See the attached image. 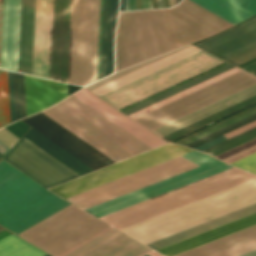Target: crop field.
Returning <instances> with one entry per match:
<instances>
[{
    "label": "crop field",
    "mask_w": 256,
    "mask_h": 256,
    "mask_svg": "<svg viewBox=\"0 0 256 256\" xmlns=\"http://www.w3.org/2000/svg\"><path fill=\"white\" fill-rule=\"evenodd\" d=\"M241 256H256V250L252 251V252H249L247 254L241 255Z\"/></svg>",
    "instance_id": "25e5ab78"
},
{
    "label": "crop field",
    "mask_w": 256,
    "mask_h": 256,
    "mask_svg": "<svg viewBox=\"0 0 256 256\" xmlns=\"http://www.w3.org/2000/svg\"><path fill=\"white\" fill-rule=\"evenodd\" d=\"M102 5H103V0H101V4H100V26H99V48H98V70H97V80L99 79V69H100V47H101Z\"/></svg>",
    "instance_id": "c21b1889"
},
{
    "label": "crop field",
    "mask_w": 256,
    "mask_h": 256,
    "mask_svg": "<svg viewBox=\"0 0 256 256\" xmlns=\"http://www.w3.org/2000/svg\"><path fill=\"white\" fill-rule=\"evenodd\" d=\"M256 203V179L121 229L147 244Z\"/></svg>",
    "instance_id": "412701ff"
},
{
    "label": "crop field",
    "mask_w": 256,
    "mask_h": 256,
    "mask_svg": "<svg viewBox=\"0 0 256 256\" xmlns=\"http://www.w3.org/2000/svg\"><path fill=\"white\" fill-rule=\"evenodd\" d=\"M20 0H4L1 68L17 72Z\"/></svg>",
    "instance_id": "214f88e0"
},
{
    "label": "crop field",
    "mask_w": 256,
    "mask_h": 256,
    "mask_svg": "<svg viewBox=\"0 0 256 256\" xmlns=\"http://www.w3.org/2000/svg\"><path fill=\"white\" fill-rule=\"evenodd\" d=\"M170 7L175 5V0H169Z\"/></svg>",
    "instance_id": "73cf0c24"
},
{
    "label": "crop field",
    "mask_w": 256,
    "mask_h": 256,
    "mask_svg": "<svg viewBox=\"0 0 256 256\" xmlns=\"http://www.w3.org/2000/svg\"><path fill=\"white\" fill-rule=\"evenodd\" d=\"M256 237V226L218 239L175 256H208Z\"/></svg>",
    "instance_id": "4177f3b9"
},
{
    "label": "crop field",
    "mask_w": 256,
    "mask_h": 256,
    "mask_svg": "<svg viewBox=\"0 0 256 256\" xmlns=\"http://www.w3.org/2000/svg\"><path fill=\"white\" fill-rule=\"evenodd\" d=\"M179 3V0H176V4Z\"/></svg>",
    "instance_id": "9d1cf04e"
},
{
    "label": "crop field",
    "mask_w": 256,
    "mask_h": 256,
    "mask_svg": "<svg viewBox=\"0 0 256 256\" xmlns=\"http://www.w3.org/2000/svg\"><path fill=\"white\" fill-rule=\"evenodd\" d=\"M9 149H10V148H8L6 145H4L2 142H0V152H1L2 154L5 155Z\"/></svg>",
    "instance_id": "b54c1fbb"
},
{
    "label": "crop field",
    "mask_w": 256,
    "mask_h": 256,
    "mask_svg": "<svg viewBox=\"0 0 256 256\" xmlns=\"http://www.w3.org/2000/svg\"><path fill=\"white\" fill-rule=\"evenodd\" d=\"M73 95L149 147L166 143L87 90L83 89ZM73 95L43 112L106 153L115 162L149 149L141 141ZM43 112L25 118L23 121L93 170L114 163L106 154L65 129ZM32 128L23 137L80 175L92 171Z\"/></svg>",
    "instance_id": "8a807250"
},
{
    "label": "crop field",
    "mask_w": 256,
    "mask_h": 256,
    "mask_svg": "<svg viewBox=\"0 0 256 256\" xmlns=\"http://www.w3.org/2000/svg\"><path fill=\"white\" fill-rule=\"evenodd\" d=\"M10 123L7 72L0 71V128Z\"/></svg>",
    "instance_id": "bd1437ed"
},
{
    "label": "crop field",
    "mask_w": 256,
    "mask_h": 256,
    "mask_svg": "<svg viewBox=\"0 0 256 256\" xmlns=\"http://www.w3.org/2000/svg\"><path fill=\"white\" fill-rule=\"evenodd\" d=\"M3 230L2 228H0V231Z\"/></svg>",
    "instance_id": "0765c3eb"
},
{
    "label": "crop field",
    "mask_w": 256,
    "mask_h": 256,
    "mask_svg": "<svg viewBox=\"0 0 256 256\" xmlns=\"http://www.w3.org/2000/svg\"><path fill=\"white\" fill-rule=\"evenodd\" d=\"M255 83L256 77L241 71L134 120L151 131Z\"/></svg>",
    "instance_id": "3316defc"
},
{
    "label": "crop field",
    "mask_w": 256,
    "mask_h": 256,
    "mask_svg": "<svg viewBox=\"0 0 256 256\" xmlns=\"http://www.w3.org/2000/svg\"><path fill=\"white\" fill-rule=\"evenodd\" d=\"M184 48H186V47H184ZM184 48H181V49H184ZM181 49H179V50H181ZM179 50L167 53L165 55L159 56L157 58L151 59V60L146 61L144 63H141V64H138V65L133 66L131 68H128L126 70H123V71H120L118 73H115V74H113V75H111V76H109V77H107V78H105L103 80L97 81V82H95V83H93V84H91V85H89V86H87L85 88L91 90V89H93V88H95L97 86H100V85H102V84H104L106 82H109V81H111L113 79H116V78H118V77H120L122 75H125V74H127V73H129L131 71H134V70H136V69H138L140 67H143V66H145L147 64H150V63H152V62H154L156 60H159V59H161V58H163L165 56H168V55H170V54H172L174 52H177ZM199 51H201V50H199V49H197V48H195L193 46H190V47H188V48H186L184 50H181V51H179V52H177L175 54H172V55H170L168 57H165V58H163V59H161L159 61H156V62H154V63H152L150 65H147V66H145V67H143L141 69H138V70H136L134 72H131V73H129V74L125 75V76H122V77H120V78H118L116 80H113V81H111V82H109L107 84H104V85H102L100 87H97V88H95V89H93L91 91H93L98 96H100V95H102V94H104L106 92H109V91H111V90H113L115 88H118V87H120V86H122L124 84H127V83H129L131 81H134V80H136V79H138L140 77H143V76H145V75H147L149 73H152V72H154V71H156L158 69H161V68H163V67H165L167 65H170V64H172V63H174L176 61H179V60H181L183 58H186V57H188V56H190L192 54H195V53H197Z\"/></svg>",
    "instance_id": "4a817a6b"
},
{
    "label": "crop field",
    "mask_w": 256,
    "mask_h": 256,
    "mask_svg": "<svg viewBox=\"0 0 256 256\" xmlns=\"http://www.w3.org/2000/svg\"><path fill=\"white\" fill-rule=\"evenodd\" d=\"M40 249L11 234L0 240V256H42Z\"/></svg>",
    "instance_id": "eef30255"
},
{
    "label": "crop field",
    "mask_w": 256,
    "mask_h": 256,
    "mask_svg": "<svg viewBox=\"0 0 256 256\" xmlns=\"http://www.w3.org/2000/svg\"><path fill=\"white\" fill-rule=\"evenodd\" d=\"M253 120H256V114H254L252 116H249V117H247V118H245V119H243L241 121H238V122H236V123H234V124H232L230 126H227V127L223 128V129H221L219 131H216V132H214V133H212V134H210L208 136H205V137H203V138H201V139H199L197 141H194V142H192V143H190V144H188L186 146L194 148V147H196V146H198V145H200L202 143H205V142H207V141H209V140H211V139H213L215 137H218V136H220V135H222V134H224L226 132H229V131H231V130H233L235 128H238V127H240V126H242L244 124H247V123H249V122H251Z\"/></svg>",
    "instance_id": "5866460e"
},
{
    "label": "crop field",
    "mask_w": 256,
    "mask_h": 256,
    "mask_svg": "<svg viewBox=\"0 0 256 256\" xmlns=\"http://www.w3.org/2000/svg\"><path fill=\"white\" fill-rule=\"evenodd\" d=\"M255 141H256V140L251 141V142H249V143H247V144H245V145H242V146H240V147H238V148H236V149H233V150H231V151H229V152H227V153H225V154H228V153H230V152H232V151H235V150H237V149H239V148H241V147H244V146H246V145H248V144H250V143H253V142H255ZM253 152H256V142L253 143V144H250V145H248V146H246V147H244V148H241V149H239V150H237V151H235V152H232V153H230V154H228V155L222 154V155H220V156H218V157H216V158H219V157L225 155V156H223V157H221V158H219V159H220V160H223V161H226V162H228V163H231V162H233V161H235V160H238V159H240V158H242V157H245V156H247V155H249V154H251V153H253Z\"/></svg>",
    "instance_id": "028f5c9d"
},
{
    "label": "crop field",
    "mask_w": 256,
    "mask_h": 256,
    "mask_svg": "<svg viewBox=\"0 0 256 256\" xmlns=\"http://www.w3.org/2000/svg\"><path fill=\"white\" fill-rule=\"evenodd\" d=\"M52 0H36L32 75L49 78Z\"/></svg>",
    "instance_id": "733c2abd"
},
{
    "label": "crop field",
    "mask_w": 256,
    "mask_h": 256,
    "mask_svg": "<svg viewBox=\"0 0 256 256\" xmlns=\"http://www.w3.org/2000/svg\"><path fill=\"white\" fill-rule=\"evenodd\" d=\"M171 50L160 9L119 13L116 72Z\"/></svg>",
    "instance_id": "e52e79f7"
},
{
    "label": "crop field",
    "mask_w": 256,
    "mask_h": 256,
    "mask_svg": "<svg viewBox=\"0 0 256 256\" xmlns=\"http://www.w3.org/2000/svg\"><path fill=\"white\" fill-rule=\"evenodd\" d=\"M16 120L26 116L23 75L13 72Z\"/></svg>",
    "instance_id": "120bbe31"
},
{
    "label": "crop field",
    "mask_w": 256,
    "mask_h": 256,
    "mask_svg": "<svg viewBox=\"0 0 256 256\" xmlns=\"http://www.w3.org/2000/svg\"><path fill=\"white\" fill-rule=\"evenodd\" d=\"M253 178L256 175L232 167L100 218L121 229Z\"/></svg>",
    "instance_id": "dd49c442"
},
{
    "label": "crop field",
    "mask_w": 256,
    "mask_h": 256,
    "mask_svg": "<svg viewBox=\"0 0 256 256\" xmlns=\"http://www.w3.org/2000/svg\"><path fill=\"white\" fill-rule=\"evenodd\" d=\"M4 159L46 187L79 176L23 137Z\"/></svg>",
    "instance_id": "cbeb9de0"
},
{
    "label": "crop field",
    "mask_w": 256,
    "mask_h": 256,
    "mask_svg": "<svg viewBox=\"0 0 256 256\" xmlns=\"http://www.w3.org/2000/svg\"><path fill=\"white\" fill-rule=\"evenodd\" d=\"M232 67H234V66H232V65H230L228 63L224 64V65H222V66H220L218 68H215V69H213V70H211V71H209V72H207L205 74H202V75H200V76H198V77H196L194 79H191V80H189V81H187V82H185V83H183L181 85H178V86H176V87H174V88H172L170 90H167V91H165V92H163V93H161V94H159L157 96H154V97H152V98H150V99H148L146 101H143V102H141V103H139V104H137V105H135L133 107H130V108H128V109H126V110H124L122 112L124 114L128 115V114H130V113H132L134 111H137V110H139V109H141V108H143L145 106H148V105H150V104H152L154 102H157V101H159V100H161V99H163L165 97H168V96H170V95H172L174 93H177V92H179V91H181V90H183L185 88H188V87H190V86H192L194 84H197V83H199V82H201V81H203L205 79H208V78H210V77H212L214 75H217V74H219V73H221V72H223L225 70H228V69H230Z\"/></svg>",
    "instance_id": "730fd06b"
},
{
    "label": "crop field",
    "mask_w": 256,
    "mask_h": 256,
    "mask_svg": "<svg viewBox=\"0 0 256 256\" xmlns=\"http://www.w3.org/2000/svg\"><path fill=\"white\" fill-rule=\"evenodd\" d=\"M241 169L256 173V153L231 163ZM230 164V165H231Z\"/></svg>",
    "instance_id": "b80d0937"
},
{
    "label": "crop field",
    "mask_w": 256,
    "mask_h": 256,
    "mask_svg": "<svg viewBox=\"0 0 256 256\" xmlns=\"http://www.w3.org/2000/svg\"><path fill=\"white\" fill-rule=\"evenodd\" d=\"M227 102H230L229 104ZM256 102V84L152 132L170 141Z\"/></svg>",
    "instance_id": "22f410ed"
},
{
    "label": "crop field",
    "mask_w": 256,
    "mask_h": 256,
    "mask_svg": "<svg viewBox=\"0 0 256 256\" xmlns=\"http://www.w3.org/2000/svg\"><path fill=\"white\" fill-rule=\"evenodd\" d=\"M254 139H256V128L249 130L241 135H238L232 139H229L223 143H220L212 148H209L204 152H208L214 157H216L222 153H225L233 148H236Z\"/></svg>",
    "instance_id": "d3111659"
},
{
    "label": "crop field",
    "mask_w": 256,
    "mask_h": 256,
    "mask_svg": "<svg viewBox=\"0 0 256 256\" xmlns=\"http://www.w3.org/2000/svg\"><path fill=\"white\" fill-rule=\"evenodd\" d=\"M118 0H111L107 75L113 72V44L116 26Z\"/></svg>",
    "instance_id": "d32e631a"
},
{
    "label": "crop field",
    "mask_w": 256,
    "mask_h": 256,
    "mask_svg": "<svg viewBox=\"0 0 256 256\" xmlns=\"http://www.w3.org/2000/svg\"><path fill=\"white\" fill-rule=\"evenodd\" d=\"M157 5H158V8L162 7V1L161 0H157Z\"/></svg>",
    "instance_id": "89e229c0"
},
{
    "label": "crop field",
    "mask_w": 256,
    "mask_h": 256,
    "mask_svg": "<svg viewBox=\"0 0 256 256\" xmlns=\"http://www.w3.org/2000/svg\"><path fill=\"white\" fill-rule=\"evenodd\" d=\"M4 155H2L1 153H0V159L3 157Z\"/></svg>",
    "instance_id": "1d79db26"
},
{
    "label": "crop field",
    "mask_w": 256,
    "mask_h": 256,
    "mask_svg": "<svg viewBox=\"0 0 256 256\" xmlns=\"http://www.w3.org/2000/svg\"><path fill=\"white\" fill-rule=\"evenodd\" d=\"M253 113H256V107H254L252 109H249V110H247V111H245L243 113H240V114H238V115H236L234 117H231V118H229L227 120H224V121H222V122H220L218 124H215V125H213V126H211L209 128H206V129H204V130H202L200 132H197V133H195V134H193L191 136H188V137H186V138H184L182 140H179V141H177L175 143H179V144L185 145V144H187V143H189V142H191L193 140H196V139H198V138H200L202 136H205V135H207V134H209V133H211L213 131H216V130L222 128V127H225V126H227V125H229V124H231L233 122H236V121H238V120H240L242 118H245V117H247V116H249V115H251Z\"/></svg>",
    "instance_id": "750c4746"
},
{
    "label": "crop field",
    "mask_w": 256,
    "mask_h": 256,
    "mask_svg": "<svg viewBox=\"0 0 256 256\" xmlns=\"http://www.w3.org/2000/svg\"><path fill=\"white\" fill-rule=\"evenodd\" d=\"M150 255H152V256H161V255H159V254H157V253H155V252L150 253Z\"/></svg>",
    "instance_id": "dbb93151"
},
{
    "label": "crop field",
    "mask_w": 256,
    "mask_h": 256,
    "mask_svg": "<svg viewBox=\"0 0 256 256\" xmlns=\"http://www.w3.org/2000/svg\"><path fill=\"white\" fill-rule=\"evenodd\" d=\"M35 0H22L18 72L31 75Z\"/></svg>",
    "instance_id": "00972430"
},
{
    "label": "crop field",
    "mask_w": 256,
    "mask_h": 256,
    "mask_svg": "<svg viewBox=\"0 0 256 256\" xmlns=\"http://www.w3.org/2000/svg\"><path fill=\"white\" fill-rule=\"evenodd\" d=\"M123 10H125V0H121V5H120L119 11H123Z\"/></svg>",
    "instance_id": "425ffa30"
},
{
    "label": "crop field",
    "mask_w": 256,
    "mask_h": 256,
    "mask_svg": "<svg viewBox=\"0 0 256 256\" xmlns=\"http://www.w3.org/2000/svg\"><path fill=\"white\" fill-rule=\"evenodd\" d=\"M254 212H256V204L235 211L233 213L227 214L225 216L219 217L217 219L208 221L206 223L200 224L198 226L192 227L190 229L184 230L182 232L176 233L174 235L168 236L166 238L160 239L158 241L152 242L147 245L152 249L156 250L158 248L164 247L166 245L172 244L174 242L180 241L182 239L188 238L195 234L201 233L203 231L209 230L211 228L217 227L219 225H222L224 223L230 222L232 220L238 219L240 217L246 216Z\"/></svg>",
    "instance_id": "a9b5d70f"
},
{
    "label": "crop field",
    "mask_w": 256,
    "mask_h": 256,
    "mask_svg": "<svg viewBox=\"0 0 256 256\" xmlns=\"http://www.w3.org/2000/svg\"><path fill=\"white\" fill-rule=\"evenodd\" d=\"M250 73H252V74L256 75V70H254V71H252V72H250Z\"/></svg>",
    "instance_id": "0fb4a251"
},
{
    "label": "crop field",
    "mask_w": 256,
    "mask_h": 256,
    "mask_svg": "<svg viewBox=\"0 0 256 256\" xmlns=\"http://www.w3.org/2000/svg\"><path fill=\"white\" fill-rule=\"evenodd\" d=\"M223 63L201 51L100 97L120 110Z\"/></svg>",
    "instance_id": "5a996713"
},
{
    "label": "crop field",
    "mask_w": 256,
    "mask_h": 256,
    "mask_svg": "<svg viewBox=\"0 0 256 256\" xmlns=\"http://www.w3.org/2000/svg\"><path fill=\"white\" fill-rule=\"evenodd\" d=\"M136 9L135 0H130V10Z\"/></svg>",
    "instance_id": "d23c7cc5"
},
{
    "label": "crop field",
    "mask_w": 256,
    "mask_h": 256,
    "mask_svg": "<svg viewBox=\"0 0 256 256\" xmlns=\"http://www.w3.org/2000/svg\"><path fill=\"white\" fill-rule=\"evenodd\" d=\"M254 225H256V213L232 221L217 228L211 229L209 231L203 232L201 234L195 235L172 245L166 246L164 248L158 249L156 251L166 256H173L175 254L181 253L183 251L200 246L202 244L208 243L210 241L216 240L218 238L227 236L229 234L235 233L237 231Z\"/></svg>",
    "instance_id": "92a150f3"
},
{
    "label": "crop field",
    "mask_w": 256,
    "mask_h": 256,
    "mask_svg": "<svg viewBox=\"0 0 256 256\" xmlns=\"http://www.w3.org/2000/svg\"><path fill=\"white\" fill-rule=\"evenodd\" d=\"M193 150L167 144L127 160L51 187L50 190L67 198L176 156Z\"/></svg>",
    "instance_id": "28ad6ade"
},
{
    "label": "crop field",
    "mask_w": 256,
    "mask_h": 256,
    "mask_svg": "<svg viewBox=\"0 0 256 256\" xmlns=\"http://www.w3.org/2000/svg\"><path fill=\"white\" fill-rule=\"evenodd\" d=\"M126 10H129V0L126 1Z\"/></svg>",
    "instance_id": "1f2cbd36"
},
{
    "label": "crop field",
    "mask_w": 256,
    "mask_h": 256,
    "mask_svg": "<svg viewBox=\"0 0 256 256\" xmlns=\"http://www.w3.org/2000/svg\"><path fill=\"white\" fill-rule=\"evenodd\" d=\"M27 116L68 96L67 84L24 75Z\"/></svg>",
    "instance_id": "bc2a9ffb"
},
{
    "label": "crop field",
    "mask_w": 256,
    "mask_h": 256,
    "mask_svg": "<svg viewBox=\"0 0 256 256\" xmlns=\"http://www.w3.org/2000/svg\"><path fill=\"white\" fill-rule=\"evenodd\" d=\"M110 0H104L100 78L106 76Z\"/></svg>",
    "instance_id": "1d83c4d3"
},
{
    "label": "crop field",
    "mask_w": 256,
    "mask_h": 256,
    "mask_svg": "<svg viewBox=\"0 0 256 256\" xmlns=\"http://www.w3.org/2000/svg\"><path fill=\"white\" fill-rule=\"evenodd\" d=\"M70 1L53 0L50 77L67 82Z\"/></svg>",
    "instance_id": "d9b57169"
},
{
    "label": "crop field",
    "mask_w": 256,
    "mask_h": 256,
    "mask_svg": "<svg viewBox=\"0 0 256 256\" xmlns=\"http://www.w3.org/2000/svg\"><path fill=\"white\" fill-rule=\"evenodd\" d=\"M8 79H9L10 115H11V122H13L15 121V112H14L13 80H12V72L10 71H8Z\"/></svg>",
    "instance_id": "c035e120"
},
{
    "label": "crop field",
    "mask_w": 256,
    "mask_h": 256,
    "mask_svg": "<svg viewBox=\"0 0 256 256\" xmlns=\"http://www.w3.org/2000/svg\"><path fill=\"white\" fill-rule=\"evenodd\" d=\"M256 249V238L210 256H239Z\"/></svg>",
    "instance_id": "e1f06a70"
},
{
    "label": "crop field",
    "mask_w": 256,
    "mask_h": 256,
    "mask_svg": "<svg viewBox=\"0 0 256 256\" xmlns=\"http://www.w3.org/2000/svg\"><path fill=\"white\" fill-rule=\"evenodd\" d=\"M235 25L256 14V0H192Z\"/></svg>",
    "instance_id": "dafd665d"
},
{
    "label": "crop field",
    "mask_w": 256,
    "mask_h": 256,
    "mask_svg": "<svg viewBox=\"0 0 256 256\" xmlns=\"http://www.w3.org/2000/svg\"><path fill=\"white\" fill-rule=\"evenodd\" d=\"M44 256H50V255L46 254V255H44Z\"/></svg>",
    "instance_id": "447ae74e"
},
{
    "label": "crop field",
    "mask_w": 256,
    "mask_h": 256,
    "mask_svg": "<svg viewBox=\"0 0 256 256\" xmlns=\"http://www.w3.org/2000/svg\"><path fill=\"white\" fill-rule=\"evenodd\" d=\"M145 256H147V255H145Z\"/></svg>",
    "instance_id": "db79e9e6"
},
{
    "label": "crop field",
    "mask_w": 256,
    "mask_h": 256,
    "mask_svg": "<svg viewBox=\"0 0 256 256\" xmlns=\"http://www.w3.org/2000/svg\"><path fill=\"white\" fill-rule=\"evenodd\" d=\"M161 10L173 50L233 26L189 0Z\"/></svg>",
    "instance_id": "d1516ede"
},
{
    "label": "crop field",
    "mask_w": 256,
    "mask_h": 256,
    "mask_svg": "<svg viewBox=\"0 0 256 256\" xmlns=\"http://www.w3.org/2000/svg\"><path fill=\"white\" fill-rule=\"evenodd\" d=\"M195 45L224 60L252 49L256 47V17ZM255 58L256 48L227 61L239 66Z\"/></svg>",
    "instance_id": "5142ce71"
},
{
    "label": "crop field",
    "mask_w": 256,
    "mask_h": 256,
    "mask_svg": "<svg viewBox=\"0 0 256 256\" xmlns=\"http://www.w3.org/2000/svg\"><path fill=\"white\" fill-rule=\"evenodd\" d=\"M182 156L200 164L201 166L179 156L67 199L86 209L88 207L94 206L96 204L102 203L117 196L199 166L197 168L191 169L189 171L183 172L168 179L86 209L92 214L100 217L151 198L152 196L155 197L157 195L163 194L175 188L181 187L193 181L232 167L206 154L196 151Z\"/></svg>",
    "instance_id": "ac0d7876"
},
{
    "label": "crop field",
    "mask_w": 256,
    "mask_h": 256,
    "mask_svg": "<svg viewBox=\"0 0 256 256\" xmlns=\"http://www.w3.org/2000/svg\"><path fill=\"white\" fill-rule=\"evenodd\" d=\"M241 68L246 70V71H248V72H250V71L256 69V61H254L252 63H249V64H247V65H245V66H243Z\"/></svg>",
    "instance_id": "03da06ac"
},
{
    "label": "crop field",
    "mask_w": 256,
    "mask_h": 256,
    "mask_svg": "<svg viewBox=\"0 0 256 256\" xmlns=\"http://www.w3.org/2000/svg\"><path fill=\"white\" fill-rule=\"evenodd\" d=\"M142 6H143V9L152 8L150 0H142Z\"/></svg>",
    "instance_id": "5d738f31"
},
{
    "label": "crop field",
    "mask_w": 256,
    "mask_h": 256,
    "mask_svg": "<svg viewBox=\"0 0 256 256\" xmlns=\"http://www.w3.org/2000/svg\"><path fill=\"white\" fill-rule=\"evenodd\" d=\"M239 71H241V70L236 68V67H234V68H232V69H230L228 71H225V72H223V73H221V74H219L217 76H214V77H212V78H210L208 80H205V81H203V82H201V83H199L197 85H194V86H192V87H190L188 89H185V90H183V91H181V92H179L177 94H174V95H172V96H170L168 98H165V99H163V100H161V101H159L157 103H154V104H152V105H150L148 107H145V108H143V109H141V110H139L137 112H134V113H132V114H130L128 116L130 118L134 119V118H136V117H138L140 115H143V114H145V113H147L149 111H152V110H154V109H156L158 107H161V106H163V105H165L167 103H170V102H172V101H174L176 99H179V98H181V97H183V96H185L187 94H190V93H192V92H194L196 90H199V89H201V88H203L205 86H208V85H210V84H212L214 82H217V81H219V80H221L223 78H226V77H228V76H230L232 74H235V73H237Z\"/></svg>",
    "instance_id": "ae1a2a85"
},
{
    "label": "crop field",
    "mask_w": 256,
    "mask_h": 256,
    "mask_svg": "<svg viewBox=\"0 0 256 256\" xmlns=\"http://www.w3.org/2000/svg\"><path fill=\"white\" fill-rule=\"evenodd\" d=\"M108 226L71 204L19 236L59 256ZM122 234L110 226L61 256H140L151 251Z\"/></svg>",
    "instance_id": "34b2d1b8"
},
{
    "label": "crop field",
    "mask_w": 256,
    "mask_h": 256,
    "mask_svg": "<svg viewBox=\"0 0 256 256\" xmlns=\"http://www.w3.org/2000/svg\"><path fill=\"white\" fill-rule=\"evenodd\" d=\"M100 0H72L68 82L96 80Z\"/></svg>",
    "instance_id": "d8731c3e"
},
{
    "label": "crop field",
    "mask_w": 256,
    "mask_h": 256,
    "mask_svg": "<svg viewBox=\"0 0 256 256\" xmlns=\"http://www.w3.org/2000/svg\"><path fill=\"white\" fill-rule=\"evenodd\" d=\"M69 204L5 160L0 161V225L3 227L17 234Z\"/></svg>",
    "instance_id": "f4fd0767"
},
{
    "label": "crop field",
    "mask_w": 256,
    "mask_h": 256,
    "mask_svg": "<svg viewBox=\"0 0 256 256\" xmlns=\"http://www.w3.org/2000/svg\"><path fill=\"white\" fill-rule=\"evenodd\" d=\"M255 126H256V121L251 122V123H249V124H247V125H245V126H243V127H240V128H238V129H236V130H234V131H231V132H229V133H232V134H234V135H237V134H239V133H241V132H243V131H246V130H248V129H250V128H253V127H255ZM229 133H227V134H225V135H223V136H220V137H218V138H216V139H214V140H211V141H209V142H207V143H205V144H203V145H200V146H198V147H196V148H194V149L203 151V150H205V149H207V148H209V147H211V146H213V145H215V144H217V143H220V142H222V141H224V140H226V139H228V138L234 136V135H231V134H229Z\"/></svg>",
    "instance_id": "0bd39190"
}]
</instances>
